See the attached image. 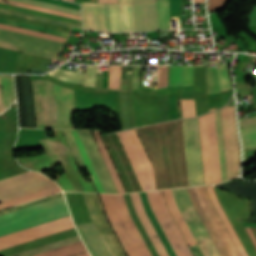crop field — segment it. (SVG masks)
<instances>
[{"label": "crop field", "instance_id": "8a807250", "mask_svg": "<svg viewBox=\"0 0 256 256\" xmlns=\"http://www.w3.org/2000/svg\"><path fill=\"white\" fill-rule=\"evenodd\" d=\"M136 130L153 165L156 189L188 186L181 120Z\"/></svg>", "mask_w": 256, "mask_h": 256}, {"label": "crop field", "instance_id": "ac0d7876", "mask_svg": "<svg viewBox=\"0 0 256 256\" xmlns=\"http://www.w3.org/2000/svg\"><path fill=\"white\" fill-rule=\"evenodd\" d=\"M53 130L56 138L39 141L45 153L20 157L18 158L20 163L41 172L61 163L65 172L56 182L63 190L96 192L93 183H86L79 172L62 131Z\"/></svg>", "mask_w": 256, "mask_h": 256}, {"label": "crop field", "instance_id": "34b2d1b8", "mask_svg": "<svg viewBox=\"0 0 256 256\" xmlns=\"http://www.w3.org/2000/svg\"><path fill=\"white\" fill-rule=\"evenodd\" d=\"M31 83L38 128H73L71 114L76 112L73 90L48 80H31Z\"/></svg>", "mask_w": 256, "mask_h": 256}, {"label": "crop field", "instance_id": "412701ff", "mask_svg": "<svg viewBox=\"0 0 256 256\" xmlns=\"http://www.w3.org/2000/svg\"><path fill=\"white\" fill-rule=\"evenodd\" d=\"M100 195L107 217L128 256H152L128 213L123 195Z\"/></svg>", "mask_w": 256, "mask_h": 256}, {"label": "crop field", "instance_id": "f4fd0767", "mask_svg": "<svg viewBox=\"0 0 256 256\" xmlns=\"http://www.w3.org/2000/svg\"><path fill=\"white\" fill-rule=\"evenodd\" d=\"M64 197L26 207L0 216V235L69 215Z\"/></svg>", "mask_w": 256, "mask_h": 256}, {"label": "crop field", "instance_id": "dd49c442", "mask_svg": "<svg viewBox=\"0 0 256 256\" xmlns=\"http://www.w3.org/2000/svg\"><path fill=\"white\" fill-rule=\"evenodd\" d=\"M198 122L205 184L221 182L214 112Z\"/></svg>", "mask_w": 256, "mask_h": 256}, {"label": "crop field", "instance_id": "e52e79f7", "mask_svg": "<svg viewBox=\"0 0 256 256\" xmlns=\"http://www.w3.org/2000/svg\"><path fill=\"white\" fill-rule=\"evenodd\" d=\"M65 43L0 29V47L44 56L52 59L67 60L57 56Z\"/></svg>", "mask_w": 256, "mask_h": 256}, {"label": "crop field", "instance_id": "d8731c3e", "mask_svg": "<svg viewBox=\"0 0 256 256\" xmlns=\"http://www.w3.org/2000/svg\"><path fill=\"white\" fill-rule=\"evenodd\" d=\"M143 191L155 189L153 168L134 129L116 133Z\"/></svg>", "mask_w": 256, "mask_h": 256}, {"label": "crop field", "instance_id": "5a996713", "mask_svg": "<svg viewBox=\"0 0 256 256\" xmlns=\"http://www.w3.org/2000/svg\"><path fill=\"white\" fill-rule=\"evenodd\" d=\"M151 209L177 256H193L173 220L161 191L146 192Z\"/></svg>", "mask_w": 256, "mask_h": 256}, {"label": "crop field", "instance_id": "3316defc", "mask_svg": "<svg viewBox=\"0 0 256 256\" xmlns=\"http://www.w3.org/2000/svg\"><path fill=\"white\" fill-rule=\"evenodd\" d=\"M176 204L194 235L204 256H219L200 218L198 217L186 188L171 190Z\"/></svg>", "mask_w": 256, "mask_h": 256}, {"label": "crop field", "instance_id": "28ad6ade", "mask_svg": "<svg viewBox=\"0 0 256 256\" xmlns=\"http://www.w3.org/2000/svg\"><path fill=\"white\" fill-rule=\"evenodd\" d=\"M182 121L189 186L204 185L197 118Z\"/></svg>", "mask_w": 256, "mask_h": 256}, {"label": "crop field", "instance_id": "d1516ede", "mask_svg": "<svg viewBox=\"0 0 256 256\" xmlns=\"http://www.w3.org/2000/svg\"><path fill=\"white\" fill-rule=\"evenodd\" d=\"M55 185L45 176L30 171L0 181V202Z\"/></svg>", "mask_w": 256, "mask_h": 256}, {"label": "crop field", "instance_id": "22f410ed", "mask_svg": "<svg viewBox=\"0 0 256 256\" xmlns=\"http://www.w3.org/2000/svg\"><path fill=\"white\" fill-rule=\"evenodd\" d=\"M92 220L111 256H126L111 230L97 194L83 193Z\"/></svg>", "mask_w": 256, "mask_h": 256}, {"label": "crop field", "instance_id": "cbeb9de0", "mask_svg": "<svg viewBox=\"0 0 256 256\" xmlns=\"http://www.w3.org/2000/svg\"><path fill=\"white\" fill-rule=\"evenodd\" d=\"M73 227L74 226L72 224L70 216L62 218L53 222H49L17 233L0 237V249L14 246Z\"/></svg>", "mask_w": 256, "mask_h": 256}, {"label": "crop field", "instance_id": "5142ce71", "mask_svg": "<svg viewBox=\"0 0 256 256\" xmlns=\"http://www.w3.org/2000/svg\"><path fill=\"white\" fill-rule=\"evenodd\" d=\"M101 136L118 168L127 191H142L116 134L113 133Z\"/></svg>", "mask_w": 256, "mask_h": 256}, {"label": "crop field", "instance_id": "d9b57169", "mask_svg": "<svg viewBox=\"0 0 256 256\" xmlns=\"http://www.w3.org/2000/svg\"><path fill=\"white\" fill-rule=\"evenodd\" d=\"M199 200L208 215L212 225L214 226L219 238L221 239L225 249L227 250L229 256H241L237 250L234 242L232 241L228 231L226 230L222 220L220 219L217 211L215 210L208 192L205 186L195 187Z\"/></svg>", "mask_w": 256, "mask_h": 256}, {"label": "crop field", "instance_id": "733c2abd", "mask_svg": "<svg viewBox=\"0 0 256 256\" xmlns=\"http://www.w3.org/2000/svg\"><path fill=\"white\" fill-rule=\"evenodd\" d=\"M136 31L158 30L155 0H132Z\"/></svg>", "mask_w": 256, "mask_h": 256}, {"label": "crop field", "instance_id": "4a817a6b", "mask_svg": "<svg viewBox=\"0 0 256 256\" xmlns=\"http://www.w3.org/2000/svg\"><path fill=\"white\" fill-rule=\"evenodd\" d=\"M84 29L110 31L107 4H82Z\"/></svg>", "mask_w": 256, "mask_h": 256}, {"label": "crop field", "instance_id": "bc2a9ffb", "mask_svg": "<svg viewBox=\"0 0 256 256\" xmlns=\"http://www.w3.org/2000/svg\"><path fill=\"white\" fill-rule=\"evenodd\" d=\"M107 193H117L89 131L79 130Z\"/></svg>", "mask_w": 256, "mask_h": 256}, {"label": "crop field", "instance_id": "214f88e0", "mask_svg": "<svg viewBox=\"0 0 256 256\" xmlns=\"http://www.w3.org/2000/svg\"><path fill=\"white\" fill-rule=\"evenodd\" d=\"M93 256H110L93 222L77 225Z\"/></svg>", "mask_w": 256, "mask_h": 256}, {"label": "crop field", "instance_id": "92a150f3", "mask_svg": "<svg viewBox=\"0 0 256 256\" xmlns=\"http://www.w3.org/2000/svg\"><path fill=\"white\" fill-rule=\"evenodd\" d=\"M130 195L135 206L136 212L143 226L145 227L150 239L152 240L157 252L159 253L160 256H169L144 210L139 194L134 193Z\"/></svg>", "mask_w": 256, "mask_h": 256}, {"label": "crop field", "instance_id": "dafd665d", "mask_svg": "<svg viewBox=\"0 0 256 256\" xmlns=\"http://www.w3.org/2000/svg\"><path fill=\"white\" fill-rule=\"evenodd\" d=\"M97 66H87L86 74L56 69L48 74L68 82L84 83V86L95 87Z\"/></svg>", "mask_w": 256, "mask_h": 256}, {"label": "crop field", "instance_id": "00972430", "mask_svg": "<svg viewBox=\"0 0 256 256\" xmlns=\"http://www.w3.org/2000/svg\"><path fill=\"white\" fill-rule=\"evenodd\" d=\"M187 189H188L191 201H192L197 213L199 214L202 222L204 223L208 233L210 234L213 242L215 243L219 253L221 254V256H228L226 250L224 249L220 239L218 238L213 226L211 225L207 215L205 214V212H204V210H203V208H202V206H201V204L198 200L195 188L190 187V188H187Z\"/></svg>", "mask_w": 256, "mask_h": 256}, {"label": "crop field", "instance_id": "a9b5d70f", "mask_svg": "<svg viewBox=\"0 0 256 256\" xmlns=\"http://www.w3.org/2000/svg\"><path fill=\"white\" fill-rule=\"evenodd\" d=\"M98 192L105 193L77 130H70Z\"/></svg>", "mask_w": 256, "mask_h": 256}, {"label": "crop field", "instance_id": "4177f3b9", "mask_svg": "<svg viewBox=\"0 0 256 256\" xmlns=\"http://www.w3.org/2000/svg\"><path fill=\"white\" fill-rule=\"evenodd\" d=\"M164 191V194H165V197H166V200H167V203H168V206L173 214V216L175 217L179 227L181 228L184 236L186 237L189 245H195L196 242L193 238V236L191 235L185 221L183 220L175 202H174V199H173V196L171 194V191L170 190H163Z\"/></svg>", "mask_w": 256, "mask_h": 256}, {"label": "crop field", "instance_id": "730fd06b", "mask_svg": "<svg viewBox=\"0 0 256 256\" xmlns=\"http://www.w3.org/2000/svg\"><path fill=\"white\" fill-rule=\"evenodd\" d=\"M208 190H209L210 197H211V199H212V201H213V203H214V205H215L217 211L219 212V214H220V216H221V218H222L224 224L226 225V227H227V229H228L230 235L232 236V238H233V240H234V242H235L237 248L239 249L241 255H242V256H248L247 253H246V251L244 250V248H243V246H242L240 240L238 239V237H237V235H236L234 229L232 228V226H231L229 220L227 219V217H226V215H225L223 209L221 208V206H220V204H219V202H218V200H217V198H216V196H215L214 189L208 187Z\"/></svg>", "mask_w": 256, "mask_h": 256}, {"label": "crop field", "instance_id": "eef30255", "mask_svg": "<svg viewBox=\"0 0 256 256\" xmlns=\"http://www.w3.org/2000/svg\"><path fill=\"white\" fill-rule=\"evenodd\" d=\"M83 252H86V249L82 241H80L35 256H73Z\"/></svg>", "mask_w": 256, "mask_h": 256}, {"label": "crop field", "instance_id": "ae1a2a85", "mask_svg": "<svg viewBox=\"0 0 256 256\" xmlns=\"http://www.w3.org/2000/svg\"><path fill=\"white\" fill-rule=\"evenodd\" d=\"M215 117H216V127H217V137H218V147H219V157H220V167H221V177H222V182H223V181L227 180V175H226V165H225V155H224V145H223V135H222L220 110L215 112Z\"/></svg>", "mask_w": 256, "mask_h": 256}, {"label": "crop field", "instance_id": "d3111659", "mask_svg": "<svg viewBox=\"0 0 256 256\" xmlns=\"http://www.w3.org/2000/svg\"><path fill=\"white\" fill-rule=\"evenodd\" d=\"M120 17L124 32L135 31L133 26L131 0H120Z\"/></svg>", "mask_w": 256, "mask_h": 256}, {"label": "crop field", "instance_id": "750c4746", "mask_svg": "<svg viewBox=\"0 0 256 256\" xmlns=\"http://www.w3.org/2000/svg\"><path fill=\"white\" fill-rule=\"evenodd\" d=\"M94 132H95V135H96V138H97V141H98L101 153H102V155L104 157V160H105V162L107 164V167H108V169L110 171V174H111V176L113 178V181H114V183L116 185V188H117L118 192L119 193L125 192L123 187H122V184H121V182H120V180L118 178V175H117V173L115 171V168H114V166L112 164V161H111V159H110V157L108 155V152H107V150L105 148V145H104V143H103V141H102V139H101V137L99 135V133L96 132V131H94Z\"/></svg>", "mask_w": 256, "mask_h": 256}, {"label": "crop field", "instance_id": "bd1437ed", "mask_svg": "<svg viewBox=\"0 0 256 256\" xmlns=\"http://www.w3.org/2000/svg\"><path fill=\"white\" fill-rule=\"evenodd\" d=\"M80 240L81 239H80L79 235H77V236L70 237V238H67V239H64V240H61L58 242H54V243H51V244H48L45 246H41V247L29 250V251H25V252H22V253L13 255V256H32V255H35V254H38L41 252H45V251H48V250H51V249H54L57 247H61V246H64V245H67V244H70L73 242L80 241Z\"/></svg>", "mask_w": 256, "mask_h": 256}, {"label": "crop field", "instance_id": "1d83c4d3", "mask_svg": "<svg viewBox=\"0 0 256 256\" xmlns=\"http://www.w3.org/2000/svg\"><path fill=\"white\" fill-rule=\"evenodd\" d=\"M5 110L15 100L12 75H0Z\"/></svg>", "mask_w": 256, "mask_h": 256}, {"label": "crop field", "instance_id": "120bbe31", "mask_svg": "<svg viewBox=\"0 0 256 256\" xmlns=\"http://www.w3.org/2000/svg\"><path fill=\"white\" fill-rule=\"evenodd\" d=\"M59 191H61V190L59 189L58 186H56V187H53V188H50V189H47V190H43V191L28 195V196H25V197H22V198H18V199L0 204V208H4V207L16 205V204H20V203H24V202H28V201H32V200H35V199H38V198H41V197L59 192Z\"/></svg>", "mask_w": 256, "mask_h": 256}, {"label": "crop field", "instance_id": "d32e631a", "mask_svg": "<svg viewBox=\"0 0 256 256\" xmlns=\"http://www.w3.org/2000/svg\"><path fill=\"white\" fill-rule=\"evenodd\" d=\"M157 13L160 29L171 28L169 22V0L157 1Z\"/></svg>", "mask_w": 256, "mask_h": 256}, {"label": "crop field", "instance_id": "5866460e", "mask_svg": "<svg viewBox=\"0 0 256 256\" xmlns=\"http://www.w3.org/2000/svg\"><path fill=\"white\" fill-rule=\"evenodd\" d=\"M0 8L9 9V10H13V11H18V12H22V13H27V14L47 17V18H51V19H55V20H59V21H64V22H69V23H74V24L81 25V21H79V20L58 17V16L49 15V14H45V13H41V12H36V11H32V10L12 7V6H8V5H5V4H0Z\"/></svg>", "mask_w": 256, "mask_h": 256}, {"label": "crop field", "instance_id": "028f5c9d", "mask_svg": "<svg viewBox=\"0 0 256 256\" xmlns=\"http://www.w3.org/2000/svg\"><path fill=\"white\" fill-rule=\"evenodd\" d=\"M108 9L112 32H122L119 17V4H108Z\"/></svg>", "mask_w": 256, "mask_h": 256}, {"label": "crop field", "instance_id": "e1f06a70", "mask_svg": "<svg viewBox=\"0 0 256 256\" xmlns=\"http://www.w3.org/2000/svg\"><path fill=\"white\" fill-rule=\"evenodd\" d=\"M0 2L1 3L12 4V5H16V6H21V7L32 8V9H36V10H41V11H45V12H49V13H54V14H58V15H63V16H67V17H71V18H75V19L81 20V16H79V15L70 14V13H66V12H62V11L41 8V7H37V6H33V5L21 3V2L10 1V0H0Z\"/></svg>", "mask_w": 256, "mask_h": 256}, {"label": "crop field", "instance_id": "0bd39190", "mask_svg": "<svg viewBox=\"0 0 256 256\" xmlns=\"http://www.w3.org/2000/svg\"><path fill=\"white\" fill-rule=\"evenodd\" d=\"M0 28L13 30V31H17V32H22V33H26V34H31V35H35V36H40V37H44V38H49V39H53V40H58V41H62V42H64L66 39L64 37L55 36V35H51V34H46V33H42V32H37V31H33V30L10 26V25L0 24Z\"/></svg>", "mask_w": 256, "mask_h": 256}, {"label": "crop field", "instance_id": "b80d0937", "mask_svg": "<svg viewBox=\"0 0 256 256\" xmlns=\"http://www.w3.org/2000/svg\"><path fill=\"white\" fill-rule=\"evenodd\" d=\"M244 148L256 146V126L240 129Z\"/></svg>", "mask_w": 256, "mask_h": 256}, {"label": "crop field", "instance_id": "c035e120", "mask_svg": "<svg viewBox=\"0 0 256 256\" xmlns=\"http://www.w3.org/2000/svg\"><path fill=\"white\" fill-rule=\"evenodd\" d=\"M206 82L208 93L220 92L218 86L217 69L206 68Z\"/></svg>", "mask_w": 256, "mask_h": 256}, {"label": "crop field", "instance_id": "c21b1889", "mask_svg": "<svg viewBox=\"0 0 256 256\" xmlns=\"http://www.w3.org/2000/svg\"><path fill=\"white\" fill-rule=\"evenodd\" d=\"M0 12L1 13H6V14H11V15H16V16H21V17H26V18H30V19H34V20H38V21H43V22L51 23V24H56V25H60V26L68 27V28H70L71 26L82 28L79 25L58 22V21H54V20H50V19H46V18H42V17L21 14V13L12 12V11L3 10V9H0Z\"/></svg>", "mask_w": 256, "mask_h": 256}, {"label": "crop field", "instance_id": "03da06ac", "mask_svg": "<svg viewBox=\"0 0 256 256\" xmlns=\"http://www.w3.org/2000/svg\"><path fill=\"white\" fill-rule=\"evenodd\" d=\"M0 17L7 18V19H12V20H17V21L37 25V26H42V27H46V28H50V29H54V30H58V31L66 32V33H68L69 30H70V29L64 28V27H59V26H55V25H50V24H46V23H41V22H37V21H32V20L23 19V18L14 17V16H9V15H4V14H0Z\"/></svg>", "mask_w": 256, "mask_h": 256}, {"label": "crop field", "instance_id": "b54c1fbb", "mask_svg": "<svg viewBox=\"0 0 256 256\" xmlns=\"http://www.w3.org/2000/svg\"><path fill=\"white\" fill-rule=\"evenodd\" d=\"M218 76L221 91L231 88L230 78L228 74V65H218Z\"/></svg>", "mask_w": 256, "mask_h": 256}, {"label": "crop field", "instance_id": "5d738f31", "mask_svg": "<svg viewBox=\"0 0 256 256\" xmlns=\"http://www.w3.org/2000/svg\"><path fill=\"white\" fill-rule=\"evenodd\" d=\"M63 133H64V135H65V137L67 139V142H68V144H69V146L71 148V151H72V153H73V155L75 157V160H76L79 168L81 169L83 167H86L84 162H83V160H82V157H81V155H80V153H79V151L77 149V146H76V144H75V142L73 140V137H72L70 131L69 130H63Z\"/></svg>", "mask_w": 256, "mask_h": 256}, {"label": "crop field", "instance_id": "d23c7cc5", "mask_svg": "<svg viewBox=\"0 0 256 256\" xmlns=\"http://www.w3.org/2000/svg\"><path fill=\"white\" fill-rule=\"evenodd\" d=\"M121 66H110L109 88L120 89Z\"/></svg>", "mask_w": 256, "mask_h": 256}, {"label": "crop field", "instance_id": "425ffa30", "mask_svg": "<svg viewBox=\"0 0 256 256\" xmlns=\"http://www.w3.org/2000/svg\"><path fill=\"white\" fill-rule=\"evenodd\" d=\"M17 1L26 2V3L46 7V8H52V9L62 10V11L71 12V13L81 15L80 11H78V10H74V9H70V8H66V7H62V6H58V5H54V4H49V3H45V2H41V1H37V0H17Z\"/></svg>", "mask_w": 256, "mask_h": 256}, {"label": "crop field", "instance_id": "25e5ab78", "mask_svg": "<svg viewBox=\"0 0 256 256\" xmlns=\"http://www.w3.org/2000/svg\"><path fill=\"white\" fill-rule=\"evenodd\" d=\"M0 23L15 25V26L24 27V28H28V29H33V30H37V31H42V32H46V33H51V34H55V35H60V36H64V37L67 36L66 33L57 32V31H53V30H48V29H44V28H39V27H35V26H30V25H26V24H21V23H17V22L7 21V20H1L0 19Z\"/></svg>", "mask_w": 256, "mask_h": 256}, {"label": "crop field", "instance_id": "73cf0c24", "mask_svg": "<svg viewBox=\"0 0 256 256\" xmlns=\"http://www.w3.org/2000/svg\"><path fill=\"white\" fill-rule=\"evenodd\" d=\"M173 85H181V67L171 66L170 68V84Z\"/></svg>", "mask_w": 256, "mask_h": 256}, {"label": "crop field", "instance_id": "89e229c0", "mask_svg": "<svg viewBox=\"0 0 256 256\" xmlns=\"http://www.w3.org/2000/svg\"><path fill=\"white\" fill-rule=\"evenodd\" d=\"M169 66H160L158 73V88L168 86Z\"/></svg>", "mask_w": 256, "mask_h": 256}, {"label": "crop field", "instance_id": "1f2cbd36", "mask_svg": "<svg viewBox=\"0 0 256 256\" xmlns=\"http://www.w3.org/2000/svg\"><path fill=\"white\" fill-rule=\"evenodd\" d=\"M181 104H182L183 118L191 117V113H192V117L195 116L194 100H190L191 113H190L189 100H181Z\"/></svg>", "mask_w": 256, "mask_h": 256}, {"label": "crop field", "instance_id": "dbb93151", "mask_svg": "<svg viewBox=\"0 0 256 256\" xmlns=\"http://www.w3.org/2000/svg\"><path fill=\"white\" fill-rule=\"evenodd\" d=\"M193 66L183 67L182 82L183 85L193 84L192 82Z\"/></svg>", "mask_w": 256, "mask_h": 256}, {"label": "crop field", "instance_id": "0fb4a251", "mask_svg": "<svg viewBox=\"0 0 256 256\" xmlns=\"http://www.w3.org/2000/svg\"><path fill=\"white\" fill-rule=\"evenodd\" d=\"M226 1L227 0H209L208 2L209 12L222 8Z\"/></svg>", "mask_w": 256, "mask_h": 256}, {"label": "crop field", "instance_id": "1d79db26", "mask_svg": "<svg viewBox=\"0 0 256 256\" xmlns=\"http://www.w3.org/2000/svg\"><path fill=\"white\" fill-rule=\"evenodd\" d=\"M62 195L63 194L61 193V194L54 195V196H51V197H48V198H45V199H41V200H38V201H35V202H32V203H28V204H25V205H22V206H18V207L9 209V210H5V211L0 212V215L4 214V213H7V212H10V211H14V210L26 207V206H30V205L36 204V203H39V202H43V201H46V200H49V199H52V198H55V197H59V196H62Z\"/></svg>", "mask_w": 256, "mask_h": 256}, {"label": "crop field", "instance_id": "9d1cf04e", "mask_svg": "<svg viewBox=\"0 0 256 256\" xmlns=\"http://www.w3.org/2000/svg\"><path fill=\"white\" fill-rule=\"evenodd\" d=\"M240 127L256 125V117L239 119Z\"/></svg>", "mask_w": 256, "mask_h": 256}, {"label": "crop field", "instance_id": "447ae74e", "mask_svg": "<svg viewBox=\"0 0 256 256\" xmlns=\"http://www.w3.org/2000/svg\"><path fill=\"white\" fill-rule=\"evenodd\" d=\"M245 230L256 249V228H245Z\"/></svg>", "mask_w": 256, "mask_h": 256}, {"label": "crop field", "instance_id": "0765c3eb", "mask_svg": "<svg viewBox=\"0 0 256 256\" xmlns=\"http://www.w3.org/2000/svg\"><path fill=\"white\" fill-rule=\"evenodd\" d=\"M248 18L250 19L249 25L256 27V7H255L254 11L249 15Z\"/></svg>", "mask_w": 256, "mask_h": 256}, {"label": "crop field", "instance_id": "db79e9e6", "mask_svg": "<svg viewBox=\"0 0 256 256\" xmlns=\"http://www.w3.org/2000/svg\"><path fill=\"white\" fill-rule=\"evenodd\" d=\"M98 2H103V3H118V0H98Z\"/></svg>", "mask_w": 256, "mask_h": 256}, {"label": "crop field", "instance_id": "7b73153f", "mask_svg": "<svg viewBox=\"0 0 256 256\" xmlns=\"http://www.w3.org/2000/svg\"><path fill=\"white\" fill-rule=\"evenodd\" d=\"M3 112V108H2V100H1V93H0V113Z\"/></svg>", "mask_w": 256, "mask_h": 256}, {"label": "crop field", "instance_id": "78b8030e", "mask_svg": "<svg viewBox=\"0 0 256 256\" xmlns=\"http://www.w3.org/2000/svg\"><path fill=\"white\" fill-rule=\"evenodd\" d=\"M77 256H90L89 253H84V254H80V255H77Z\"/></svg>", "mask_w": 256, "mask_h": 256}, {"label": "crop field", "instance_id": "0f1d7ab4", "mask_svg": "<svg viewBox=\"0 0 256 256\" xmlns=\"http://www.w3.org/2000/svg\"><path fill=\"white\" fill-rule=\"evenodd\" d=\"M205 0H195V2H204Z\"/></svg>", "mask_w": 256, "mask_h": 256}, {"label": "crop field", "instance_id": "e1d0b9f6", "mask_svg": "<svg viewBox=\"0 0 256 256\" xmlns=\"http://www.w3.org/2000/svg\"><path fill=\"white\" fill-rule=\"evenodd\" d=\"M90 1H94V2H97V0H90Z\"/></svg>", "mask_w": 256, "mask_h": 256}, {"label": "crop field", "instance_id": "ae633e8c", "mask_svg": "<svg viewBox=\"0 0 256 256\" xmlns=\"http://www.w3.org/2000/svg\"><path fill=\"white\" fill-rule=\"evenodd\" d=\"M69 1H73L74 2V0H69Z\"/></svg>", "mask_w": 256, "mask_h": 256}]
</instances>
